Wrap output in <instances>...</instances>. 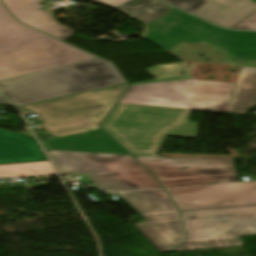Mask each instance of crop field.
Masks as SVG:
<instances>
[{
  "label": "crop field",
  "mask_w": 256,
  "mask_h": 256,
  "mask_svg": "<svg viewBox=\"0 0 256 256\" xmlns=\"http://www.w3.org/2000/svg\"><path fill=\"white\" fill-rule=\"evenodd\" d=\"M93 58L18 23L0 3V80Z\"/></svg>",
  "instance_id": "obj_1"
},
{
  "label": "crop field",
  "mask_w": 256,
  "mask_h": 256,
  "mask_svg": "<svg viewBox=\"0 0 256 256\" xmlns=\"http://www.w3.org/2000/svg\"><path fill=\"white\" fill-rule=\"evenodd\" d=\"M125 82L101 58L0 81V93L17 106Z\"/></svg>",
  "instance_id": "obj_2"
},
{
  "label": "crop field",
  "mask_w": 256,
  "mask_h": 256,
  "mask_svg": "<svg viewBox=\"0 0 256 256\" xmlns=\"http://www.w3.org/2000/svg\"><path fill=\"white\" fill-rule=\"evenodd\" d=\"M190 110L118 104L101 124L132 155L156 157L165 135L196 138ZM117 141V142H118Z\"/></svg>",
  "instance_id": "obj_3"
},
{
  "label": "crop field",
  "mask_w": 256,
  "mask_h": 256,
  "mask_svg": "<svg viewBox=\"0 0 256 256\" xmlns=\"http://www.w3.org/2000/svg\"><path fill=\"white\" fill-rule=\"evenodd\" d=\"M126 83L111 85L63 98L22 106L37 114L44 131L53 137L95 129L117 101L128 90Z\"/></svg>",
  "instance_id": "obj_4"
},
{
  "label": "crop field",
  "mask_w": 256,
  "mask_h": 256,
  "mask_svg": "<svg viewBox=\"0 0 256 256\" xmlns=\"http://www.w3.org/2000/svg\"><path fill=\"white\" fill-rule=\"evenodd\" d=\"M120 103L208 110L228 107L235 84L191 80L190 75L131 84Z\"/></svg>",
  "instance_id": "obj_5"
},
{
  "label": "crop field",
  "mask_w": 256,
  "mask_h": 256,
  "mask_svg": "<svg viewBox=\"0 0 256 256\" xmlns=\"http://www.w3.org/2000/svg\"><path fill=\"white\" fill-rule=\"evenodd\" d=\"M60 174L90 175L107 191L161 188L131 155L49 151Z\"/></svg>",
  "instance_id": "obj_6"
},
{
  "label": "crop field",
  "mask_w": 256,
  "mask_h": 256,
  "mask_svg": "<svg viewBox=\"0 0 256 256\" xmlns=\"http://www.w3.org/2000/svg\"><path fill=\"white\" fill-rule=\"evenodd\" d=\"M148 28L144 38L167 50L182 40L196 43L207 39L228 49L235 57L256 59V32L224 30L176 9Z\"/></svg>",
  "instance_id": "obj_7"
},
{
  "label": "crop field",
  "mask_w": 256,
  "mask_h": 256,
  "mask_svg": "<svg viewBox=\"0 0 256 256\" xmlns=\"http://www.w3.org/2000/svg\"><path fill=\"white\" fill-rule=\"evenodd\" d=\"M187 240L173 251L243 245L239 236L256 235V206L181 212Z\"/></svg>",
  "instance_id": "obj_8"
},
{
  "label": "crop field",
  "mask_w": 256,
  "mask_h": 256,
  "mask_svg": "<svg viewBox=\"0 0 256 256\" xmlns=\"http://www.w3.org/2000/svg\"><path fill=\"white\" fill-rule=\"evenodd\" d=\"M118 194L135 207L147 221L134 225L159 252L170 251L185 239L178 211L164 189Z\"/></svg>",
  "instance_id": "obj_9"
},
{
  "label": "crop field",
  "mask_w": 256,
  "mask_h": 256,
  "mask_svg": "<svg viewBox=\"0 0 256 256\" xmlns=\"http://www.w3.org/2000/svg\"><path fill=\"white\" fill-rule=\"evenodd\" d=\"M135 158L163 187L237 181L232 158Z\"/></svg>",
  "instance_id": "obj_10"
},
{
  "label": "crop field",
  "mask_w": 256,
  "mask_h": 256,
  "mask_svg": "<svg viewBox=\"0 0 256 256\" xmlns=\"http://www.w3.org/2000/svg\"><path fill=\"white\" fill-rule=\"evenodd\" d=\"M180 211L256 205V181L166 189Z\"/></svg>",
  "instance_id": "obj_11"
},
{
  "label": "crop field",
  "mask_w": 256,
  "mask_h": 256,
  "mask_svg": "<svg viewBox=\"0 0 256 256\" xmlns=\"http://www.w3.org/2000/svg\"><path fill=\"white\" fill-rule=\"evenodd\" d=\"M222 27L232 28L256 11L250 0H161Z\"/></svg>",
  "instance_id": "obj_12"
},
{
  "label": "crop field",
  "mask_w": 256,
  "mask_h": 256,
  "mask_svg": "<svg viewBox=\"0 0 256 256\" xmlns=\"http://www.w3.org/2000/svg\"><path fill=\"white\" fill-rule=\"evenodd\" d=\"M7 9L20 21L62 40L77 31L57 23L49 10H39L40 0H2ZM55 37V38H56Z\"/></svg>",
  "instance_id": "obj_13"
},
{
  "label": "crop field",
  "mask_w": 256,
  "mask_h": 256,
  "mask_svg": "<svg viewBox=\"0 0 256 256\" xmlns=\"http://www.w3.org/2000/svg\"><path fill=\"white\" fill-rule=\"evenodd\" d=\"M106 133L100 130L59 139L43 140L41 143L48 150L129 154Z\"/></svg>",
  "instance_id": "obj_14"
},
{
  "label": "crop field",
  "mask_w": 256,
  "mask_h": 256,
  "mask_svg": "<svg viewBox=\"0 0 256 256\" xmlns=\"http://www.w3.org/2000/svg\"><path fill=\"white\" fill-rule=\"evenodd\" d=\"M47 161L34 138L0 129V164Z\"/></svg>",
  "instance_id": "obj_15"
},
{
  "label": "crop field",
  "mask_w": 256,
  "mask_h": 256,
  "mask_svg": "<svg viewBox=\"0 0 256 256\" xmlns=\"http://www.w3.org/2000/svg\"><path fill=\"white\" fill-rule=\"evenodd\" d=\"M256 106V68L242 67L227 112L246 114Z\"/></svg>",
  "instance_id": "obj_16"
},
{
  "label": "crop field",
  "mask_w": 256,
  "mask_h": 256,
  "mask_svg": "<svg viewBox=\"0 0 256 256\" xmlns=\"http://www.w3.org/2000/svg\"><path fill=\"white\" fill-rule=\"evenodd\" d=\"M54 173L49 162L0 165V177Z\"/></svg>",
  "instance_id": "obj_17"
},
{
  "label": "crop field",
  "mask_w": 256,
  "mask_h": 256,
  "mask_svg": "<svg viewBox=\"0 0 256 256\" xmlns=\"http://www.w3.org/2000/svg\"><path fill=\"white\" fill-rule=\"evenodd\" d=\"M172 9L173 8L161 2H156L151 6L145 8L144 10L140 11L139 13L133 15V18L147 25Z\"/></svg>",
  "instance_id": "obj_18"
},
{
  "label": "crop field",
  "mask_w": 256,
  "mask_h": 256,
  "mask_svg": "<svg viewBox=\"0 0 256 256\" xmlns=\"http://www.w3.org/2000/svg\"><path fill=\"white\" fill-rule=\"evenodd\" d=\"M153 1L154 0H130L117 9H119L131 16L134 13L141 10L142 8L149 5L150 3H152Z\"/></svg>",
  "instance_id": "obj_19"
},
{
  "label": "crop field",
  "mask_w": 256,
  "mask_h": 256,
  "mask_svg": "<svg viewBox=\"0 0 256 256\" xmlns=\"http://www.w3.org/2000/svg\"><path fill=\"white\" fill-rule=\"evenodd\" d=\"M234 29L256 30V12L236 25Z\"/></svg>",
  "instance_id": "obj_20"
},
{
  "label": "crop field",
  "mask_w": 256,
  "mask_h": 256,
  "mask_svg": "<svg viewBox=\"0 0 256 256\" xmlns=\"http://www.w3.org/2000/svg\"><path fill=\"white\" fill-rule=\"evenodd\" d=\"M94 1L103 3L105 5H108V6H111V7H114V8H117L128 0H94Z\"/></svg>",
  "instance_id": "obj_21"
},
{
  "label": "crop field",
  "mask_w": 256,
  "mask_h": 256,
  "mask_svg": "<svg viewBox=\"0 0 256 256\" xmlns=\"http://www.w3.org/2000/svg\"><path fill=\"white\" fill-rule=\"evenodd\" d=\"M0 105H6L11 106L8 102H6L1 96H0Z\"/></svg>",
  "instance_id": "obj_22"
},
{
  "label": "crop field",
  "mask_w": 256,
  "mask_h": 256,
  "mask_svg": "<svg viewBox=\"0 0 256 256\" xmlns=\"http://www.w3.org/2000/svg\"><path fill=\"white\" fill-rule=\"evenodd\" d=\"M228 108L216 107L214 111L226 112Z\"/></svg>",
  "instance_id": "obj_23"
},
{
  "label": "crop field",
  "mask_w": 256,
  "mask_h": 256,
  "mask_svg": "<svg viewBox=\"0 0 256 256\" xmlns=\"http://www.w3.org/2000/svg\"><path fill=\"white\" fill-rule=\"evenodd\" d=\"M252 1H255V2H256V0H252Z\"/></svg>",
  "instance_id": "obj_24"
}]
</instances>
